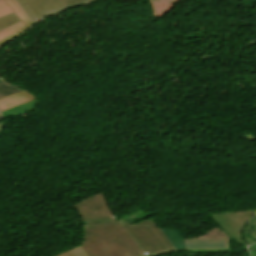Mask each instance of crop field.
Masks as SVG:
<instances>
[{
	"mask_svg": "<svg viewBox=\"0 0 256 256\" xmlns=\"http://www.w3.org/2000/svg\"><path fill=\"white\" fill-rule=\"evenodd\" d=\"M72 205L83 224L80 245L88 256H146L117 221L103 191Z\"/></svg>",
	"mask_w": 256,
	"mask_h": 256,
	"instance_id": "obj_1",
	"label": "crop field"
},
{
	"mask_svg": "<svg viewBox=\"0 0 256 256\" xmlns=\"http://www.w3.org/2000/svg\"><path fill=\"white\" fill-rule=\"evenodd\" d=\"M120 222L148 256H159L176 251L152 218L133 225L128 222Z\"/></svg>",
	"mask_w": 256,
	"mask_h": 256,
	"instance_id": "obj_2",
	"label": "crop field"
},
{
	"mask_svg": "<svg viewBox=\"0 0 256 256\" xmlns=\"http://www.w3.org/2000/svg\"><path fill=\"white\" fill-rule=\"evenodd\" d=\"M174 248H227L229 236L222 228H215L196 239H184L177 230L161 229Z\"/></svg>",
	"mask_w": 256,
	"mask_h": 256,
	"instance_id": "obj_3",
	"label": "crop field"
},
{
	"mask_svg": "<svg viewBox=\"0 0 256 256\" xmlns=\"http://www.w3.org/2000/svg\"><path fill=\"white\" fill-rule=\"evenodd\" d=\"M255 213L256 212L252 210H245L210 215L216 221L219 227H222L234 241L245 245L241 230Z\"/></svg>",
	"mask_w": 256,
	"mask_h": 256,
	"instance_id": "obj_4",
	"label": "crop field"
},
{
	"mask_svg": "<svg viewBox=\"0 0 256 256\" xmlns=\"http://www.w3.org/2000/svg\"><path fill=\"white\" fill-rule=\"evenodd\" d=\"M27 17L36 23L42 18L65 10V0H16Z\"/></svg>",
	"mask_w": 256,
	"mask_h": 256,
	"instance_id": "obj_5",
	"label": "crop field"
},
{
	"mask_svg": "<svg viewBox=\"0 0 256 256\" xmlns=\"http://www.w3.org/2000/svg\"><path fill=\"white\" fill-rule=\"evenodd\" d=\"M34 98L35 97L32 94H30L26 91H23V92H20L18 94L12 95L10 97L1 99L0 100V111H2L4 109H7L9 107L18 105L20 103L29 101V100L34 99Z\"/></svg>",
	"mask_w": 256,
	"mask_h": 256,
	"instance_id": "obj_6",
	"label": "crop field"
},
{
	"mask_svg": "<svg viewBox=\"0 0 256 256\" xmlns=\"http://www.w3.org/2000/svg\"><path fill=\"white\" fill-rule=\"evenodd\" d=\"M27 28L22 22L0 31V46L13 39Z\"/></svg>",
	"mask_w": 256,
	"mask_h": 256,
	"instance_id": "obj_7",
	"label": "crop field"
},
{
	"mask_svg": "<svg viewBox=\"0 0 256 256\" xmlns=\"http://www.w3.org/2000/svg\"><path fill=\"white\" fill-rule=\"evenodd\" d=\"M8 7L20 18V20L27 26L33 25L31 21L26 17V15L23 13L19 5L15 0H3Z\"/></svg>",
	"mask_w": 256,
	"mask_h": 256,
	"instance_id": "obj_8",
	"label": "crop field"
},
{
	"mask_svg": "<svg viewBox=\"0 0 256 256\" xmlns=\"http://www.w3.org/2000/svg\"><path fill=\"white\" fill-rule=\"evenodd\" d=\"M20 91H23L5 81L3 82H0V99L1 98H4V97H7L9 95H12V94H15V93H18ZM3 119V116L0 112V121Z\"/></svg>",
	"mask_w": 256,
	"mask_h": 256,
	"instance_id": "obj_9",
	"label": "crop field"
},
{
	"mask_svg": "<svg viewBox=\"0 0 256 256\" xmlns=\"http://www.w3.org/2000/svg\"><path fill=\"white\" fill-rule=\"evenodd\" d=\"M177 251L232 253V240L228 241V249H178Z\"/></svg>",
	"mask_w": 256,
	"mask_h": 256,
	"instance_id": "obj_10",
	"label": "crop field"
},
{
	"mask_svg": "<svg viewBox=\"0 0 256 256\" xmlns=\"http://www.w3.org/2000/svg\"><path fill=\"white\" fill-rule=\"evenodd\" d=\"M20 22L18 17L12 13L0 18V30Z\"/></svg>",
	"mask_w": 256,
	"mask_h": 256,
	"instance_id": "obj_11",
	"label": "crop field"
},
{
	"mask_svg": "<svg viewBox=\"0 0 256 256\" xmlns=\"http://www.w3.org/2000/svg\"><path fill=\"white\" fill-rule=\"evenodd\" d=\"M94 1H99V0H66V10L72 7L84 5Z\"/></svg>",
	"mask_w": 256,
	"mask_h": 256,
	"instance_id": "obj_12",
	"label": "crop field"
},
{
	"mask_svg": "<svg viewBox=\"0 0 256 256\" xmlns=\"http://www.w3.org/2000/svg\"><path fill=\"white\" fill-rule=\"evenodd\" d=\"M59 256H87L81 246H77Z\"/></svg>",
	"mask_w": 256,
	"mask_h": 256,
	"instance_id": "obj_13",
	"label": "crop field"
},
{
	"mask_svg": "<svg viewBox=\"0 0 256 256\" xmlns=\"http://www.w3.org/2000/svg\"><path fill=\"white\" fill-rule=\"evenodd\" d=\"M9 13H12V11L7 7V5L2 0H0V17L7 15Z\"/></svg>",
	"mask_w": 256,
	"mask_h": 256,
	"instance_id": "obj_14",
	"label": "crop field"
},
{
	"mask_svg": "<svg viewBox=\"0 0 256 256\" xmlns=\"http://www.w3.org/2000/svg\"><path fill=\"white\" fill-rule=\"evenodd\" d=\"M3 124H4V123H0V131H1V129H2Z\"/></svg>",
	"mask_w": 256,
	"mask_h": 256,
	"instance_id": "obj_15",
	"label": "crop field"
},
{
	"mask_svg": "<svg viewBox=\"0 0 256 256\" xmlns=\"http://www.w3.org/2000/svg\"><path fill=\"white\" fill-rule=\"evenodd\" d=\"M0 81H3V80H0Z\"/></svg>",
	"mask_w": 256,
	"mask_h": 256,
	"instance_id": "obj_16",
	"label": "crop field"
}]
</instances>
